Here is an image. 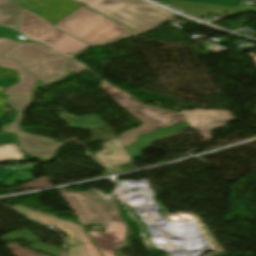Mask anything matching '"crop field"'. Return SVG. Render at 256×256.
<instances>
[{
	"label": "crop field",
	"mask_w": 256,
	"mask_h": 256,
	"mask_svg": "<svg viewBox=\"0 0 256 256\" xmlns=\"http://www.w3.org/2000/svg\"><path fill=\"white\" fill-rule=\"evenodd\" d=\"M189 127L187 123L174 125L169 128L158 130L152 134L143 135L138 138L137 143L131 144L129 146L124 147L126 151L130 154L132 158L141 157V153L143 149L153 140L160 139L164 136H168L179 132L185 128Z\"/></svg>",
	"instance_id": "14"
},
{
	"label": "crop field",
	"mask_w": 256,
	"mask_h": 256,
	"mask_svg": "<svg viewBox=\"0 0 256 256\" xmlns=\"http://www.w3.org/2000/svg\"><path fill=\"white\" fill-rule=\"evenodd\" d=\"M9 134L0 135V162L14 161L23 158V153L13 144Z\"/></svg>",
	"instance_id": "15"
},
{
	"label": "crop field",
	"mask_w": 256,
	"mask_h": 256,
	"mask_svg": "<svg viewBox=\"0 0 256 256\" xmlns=\"http://www.w3.org/2000/svg\"><path fill=\"white\" fill-rule=\"evenodd\" d=\"M24 8L34 12L35 14L53 22L57 23L64 16L70 14L80 6L71 0H16Z\"/></svg>",
	"instance_id": "9"
},
{
	"label": "crop field",
	"mask_w": 256,
	"mask_h": 256,
	"mask_svg": "<svg viewBox=\"0 0 256 256\" xmlns=\"http://www.w3.org/2000/svg\"><path fill=\"white\" fill-rule=\"evenodd\" d=\"M18 43L19 42H14L7 38H0V55L17 45ZM0 66L4 68H9L13 71H17L19 77L18 84L8 87L2 92L3 95L30 96V90L36 84L37 78L28 74L24 70V68L16 60L13 59L0 57Z\"/></svg>",
	"instance_id": "8"
},
{
	"label": "crop field",
	"mask_w": 256,
	"mask_h": 256,
	"mask_svg": "<svg viewBox=\"0 0 256 256\" xmlns=\"http://www.w3.org/2000/svg\"><path fill=\"white\" fill-rule=\"evenodd\" d=\"M19 10V5L13 1L0 4V24L16 27Z\"/></svg>",
	"instance_id": "17"
},
{
	"label": "crop field",
	"mask_w": 256,
	"mask_h": 256,
	"mask_svg": "<svg viewBox=\"0 0 256 256\" xmlns=\"http://www.w3.org/2000/svg\"><path fill=\"white\" fill-rule=\"evenodd\" d=\"M101 88L106 90L115 102L143 123L141 128L127 132L118 139L122 146L135 142L136 136L141 133L149 132L167 125L186 122L184 118L179 117V113L142 105L134 98L116 90L106 83L103 84ZM172 116H174V118H172Z\"/></svg>",
	"instance_id": "5"
},
{
	"label": "crop field",
	"mask_w": 256,
	"mask_h": 256,
	"mask_svg": "<svg viewBox=\"0 0 256 256\" xmlns=\"http://www.w3.org/2000/svg\"><path fill=\"white\" fill-rule=\"evenodd\" d=\"M1 56L16 59L28 73L43 83L69 74L66 64L70 59L38 43H20Z\"/></svg>",
	"instance_id": "4"
},
{
	"label": "crop field",
	"mask_w": 256,
	"mask_h": 256,
	"mask_svg": "<svg viewBox=\"0 0 256 256\" xmlns=\"http://www.w3.org/2000/svg\"><path fill=\"white\" fill-rule=\"evenodd\" d=\"M60 117L65 119L67 122L72 124L73 126L77 128H92L97 126L105 125L102 121L97 119L94 116H86L82 117L80 119L73 118L65 113L60 114Z\"/></svg>",
	"instance_id": "18"
},
{
	"label": "crop field",
	"mask_w": 256,
	"mask_h": 256,
	"mask_svg": "<svg viewBox=\"0 0 256 256\" xmlns=\"http://www.w3.org/2000/svg\"><path fill=\"white\" fill-rule=\"evenodd\" d=\"M67 69H68V71L74 72V73H79L82 70H85V69H83L81 66H79L77 63H75L72 60H70V62L68 63Z\"/></svg>",
	"instance_id": "23"
},
{
	"label": "crop field",
	"mask_w": 256,
	"mask_h": 256,
	"mask_svg": "<svg viewBox=\"0 0 256 256\" xmlns=\"http://www.w3.org/2000/svg\"><path fill=\"white\" fill-rule=\"evenodd\" d=\"M9 106L13 107L16 112H21L27 104L30 97L8 96Z\"/></svg>",
	"instance_id": "20"
},
{
	"label": "crop field",
	"mask_w": 256,
	"mask_h": 256,
	"mask_svg": "<svg viewBox=\"0 0 256 256\" xmlns=\"http://www.w3.org/2000/svg\"><path fill=\"white\" fill-rule=\"evenodd\" d=\"M20 115L21 113H17L15 121L10 126L4 127L3 131L17 134L20 147L31 156H38L44 159L52 157L55 150L60 148L62 144L43 137L27 135L21 132L17 128Z\"/></svg>",
	"instance_id": "10"
},
{
	"label": "crop field",
	"mask_w": 256,
	"mask_h": 256,
	"mask_svg": "<svg viewBox=\"0 0 256 256\" xmlns=\"http://www.w3.org/2000/svg\"><path fill=\"white\" fill-rule=\"evenodd\" d=\"M159 1L170 6L169 0H159ZM176 1H185V2H195V3L237 7L240 0H176Z\"/></svg>",
	"instance_id": "19"
},
{
	"label": "crop field",
	"mask_w": 256,
	"mask_h": 256,
	"mask_svg": "<svg viewBox=\"0 0 256 256\" xmlns=\"http://www.w3.org/2000/svg\"><path fill=\"white\" fill-rule=\"evenodd\" d=\"M25 215L55 228L69 235L67 241L72 247H68L66 256H102L95 244L91 241L83 226L75 224L73 221H64L50 214L32 211L20 205L14 206Z\"/></svg>",
	"instance_id": "7"
},
{
	"label": "crop field",
	"mask_w": 256,
	"mask_h": 256,
	"mask_svg": "<svg viewBox=\"0 0 256 256\" xmlns=\"http://www.w3.org/2000/svg\"><path fill=\"white\" fill-rule=\"evenodd\" d=\"M54 24L23 9L19 30L28 38L48 45L55 50L72 56L88 45L56 30Z\"/></svg>",
	"instance_id": "6"
},
{
	"label": "crop field",
	"mask_w": 256,
	"mask_h": 256,
	"mask_svg": "<svg viewBox=\"0 0 256 256\" xmlns=\"http://www.w3.org/2000/svg\"><path fill=\"white\" fill-rule=\"evenodd\" d=\"M33 179L30 173H22V174H17L13 177H11L5 184L2 186H11L15 184L16 181H27Z\"/></svg>",
	"instance_id": "21"
},
{
	"label": "crop field",
	"mask_w": 256,
	"mask_h": 256,
	"mask_svg": "<svg viewBox=\"0 0 256 256\" xmlns=\"http://www.w3.org/2000/svg\"><path fill=\"white\" fill-rule=\"evenodd\" d=\"M171 6L175 7L177 9L183 10L189 14H192L196 17L200 15H206V13H215V14H221L224 16H232L237 15L242 12L246 11H255L256 7L253 9H247V8H232V7H223V6H213V5H204V4H195V3H185V2H176V1H170ZM229 12V14H224L223 10Z\"/></svg>",
	"instance_id": "13"
},
{
	"label": "crop field",
	"mask_w": 256,
	"mask_h": 256,
	"mask_svg": "<svg viewBox=\"0 0 256 256\" xmlns=\"http://www.w3.org/2000/svg\"><path fill=\"white\" fill-rule=\"evenodd\" d=\"M14 171L3 170L0 168V183L4 181L10 174H14Z\"/></svg>",
	"instance_id": "25"
},
{
	"label": "crop field",
	"mask_w": 256,
	"mask_h": 256,
	"mask_svg": "<svg viewBox=\"0 0 256 256\" xmlns=\"http://www.w3.org/2000/svg\"><path fill=\"white\" fill-rule=\"evenodd\" d=\"M103 146L105 151L95 154L96 159L113 172L120 171V164H125L132 160L118 140L107 142Z\"/></svg>",
	"instance_id": "12"
},
{
	"label": "crop field",
	"mask_w": 256,
	"mask_h": 256,
	"mask_svg": "<svg viewBox=\"0 0 256 256\" xmlns=\"http://www.w3.org/2000/svg\"><path fill=\"white\" fill-rule=\"evenodd\" d=\"M181 113L190 127L198 129L205 140L211 139L210 130L216 127L224 128V123L234 120L229 112L224 111L197 110L181 111Z\"/></svg>",
	"instance_id": "11"
},
{
	"label": "crop field",
	"mask_w": 256,
	"mask_h": 256,
	"mask_svg": "<svg viewBox=\"0 0 256 256\" xmlns=\"http://www.w3.org/2000/svg\"><path fill=\"white\" fill-rule=\"evenodd\" d=\"M82 224L106 225V234L88 231L104 256H114V249L123 247L126 226L113 203L93 193L61 192Z\"/></svg>",
	"instance_id": "1"
},
{
	"label": "crop field",
	"mask_w": 256,
	"mask_h": 256,
	"mask_svg": "<svg viewBox=\"0 0 256 256\" xmlns=\"http://www.w3.org/2000/svg\"><path fill=\"white\" fill-rule=\"evenodd\" d=\"M14 82H16L15 77L0 79V88H4L5 85H8Z\"/></svg>",
	"instance_id": "24"
},
{
	"label": "crop field",
	"mask_w": 256,
	"mask_h": 256,
	"mask_svg": "<svg viewBox=\"0 0 256 256\" xmlns=\"http://www.w3.org/2000/svg\"><path fill=\"white\" fill-rule=\"evenodd\" d=\"M54 28L90 46L129 36L133 31L84 6L63 18Z\"/></svg>",
	"instance_id": "3"
},
{
	"label": "crop field",
	"mask_w": 256,
	"mask_h": 256,
	"mask_svg": "<svg viewBox=\"0 0 256 256\" xmlns=\"http://www.w3.org/2000/svg\"><path fill=\"white\" fill-rule=\"evenodd\" d=\"M19 238H26L30 242H35L32 245V248H35V249H38V250H41L44 252H48V253H51V254H54L57 256H62L61 250L51 247L49 245L43 244V243H37V241H39L40 239L26 230L11 233L9 235L4 236L1 239L2 240H11V239H19Z\"/></svg>",
	"instance_id": "16"
},
{
	"label": "crop field",
	"mask_w": 256,
	"mask_h": 256,
	"mask_svg": "<svg viewBox=\"0 0 256 256\" xmlns=\"http://www.w3.org/2000/svg\"><path fill=\"white\" fill-rule=\"evenodd\" d=\"M7 1H11V0H0V3H4V2H7Z\"/></svg>",
	"instance_id": "26"
},
{
	"label": "crop field",
	"mask_w": 256,
	"mask_h": 256,
	"mask_svg": "<svg viewBox=\"0 0 256 256\" xmlns=\"http://www.w3.org/2000/svg\"><path fill=\"white\" fill-rule=\"evenodd\" d=\"M134 29L130 36L148 32L164 21H172V13L143 0H74Z\"/></svg>",
	"instance_id": "2"
},
{
	"label": "crop field",
	"mask_w": 256,
	"mask_h": 256,
	"mask_svg": "<svg viewBox=\"0 0 256 256\" xmlns=\"http://www.w3.org/2000/svg\"><path fill=\"white\" fill-rule=\"evenodd\" d=\"M18 35L20 34L16 30H13L5 26H0V36H7L10 38L22 41L20 38L17 37Z\"/></svg>",
	"instance_id": "22"
}]
</instances>
